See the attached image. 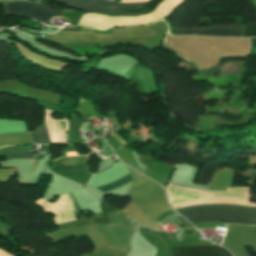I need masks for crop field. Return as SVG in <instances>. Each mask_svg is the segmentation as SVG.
Here are the masks:
<instances>
[{"label": "crop field", "instance_id": "obj_1", "mask_svg": "<svg viewBox=\"0 0 256 256\" xmlns=\"http://www.w3.org/2000/svg\"><path fill=\"white\" fill-rule=\"evenodd\" d=\"M190 222L225 221L255 225L256 207L233 204H200L176 209Z\"/></svg>", "mask_w": 256, "mask_h": 256}, {"label": "crop field", "instance_id": "obj_2", "mask_svg": "<svg viewBox=\"0 0 256 256\" xmlns=\"http://www.w3.org/2000/svg\"><path fill=\"white\" fill-rule=\"evenodd\" d=\"M58 2L66 3V6L84 10V11H95L108 15H122V14H143L150 10L146 9L140 12H120V10L135 11L145 8V3H117L108 0H53ZM152 0H122L121 2H150ZM108 5L118 7L117 9L99 6Z\"/></svg>", "mask_w": 256, "mask_h": 256}, {"label": "crop field", "instance_id": "obj_3", "mask_svg": "<svg viewBox=\"0 0 256 256\" xmlns=\"http://www.w3.org/2000/svg\"><path fill=\"white\" fill-rule=\"evenodd\" d=\"M5 9L6 13L27 16L46 24H50V17L61 14L56 10L28 2H8L5 5Z\"/></svg>", "mask_w": 256, "mask_h": 256}, {"label": "crop field", "instance_id": "obj_4", "mask_svg": "<svg viewBox=\"0 0 256 256\" xmlns=\"http://www.w3.org/2000/svg\"><path fill=\"white\" fill-rule=\"evenodd\" d=\"M241 25H216L204 29H178L177 35H198V36H240L242 35Z\"/></svg>", "mask_w": 256, "mask_h": 256}, {"label": "crop field", "instance_id": "obj_5", "mask_svg": "<svg viewBox=\"0 0 256 256\" xmlns=\"http://www.w3.org/2000/svg\"><path fill=\"white\" fill-rule=\"evenodd\" d=\"M174 256H231L224 248L217 245H202L172 249Z\"/></svg>", "mask_w": 256, "mask_h": 256}, {"label": "crop field", "instance_id": "obj_6", "mask_svg": "<svg viewBox=\"0 0 256 256\" xmlns=\"http://www.w3.org/2000/svg\"><path fill=\"white\" fill-rule=\"evenodd\" d=\"M34 143H51L47 135L45 124L37 127L35 131L31 132Z\"/></svg>", "mask_w": 256, "mask_h": 256}, {"label": "crop field", "instance_id": "obj_7", "mask_svg": "<svg viewBox=\"0 0 256 256\" xmlns=\"http://www.w3.org/2000/svg\"><path fill=\"white\" fill-rule=\"evenodd\" d=\"M132 181L131 180V176L130 174L110 183V184H107V185H103V186H100V187H97L99 190L103 191V192H106V191H110V190H114L116 188H119L125 184H127L128 182Z\"/></svg>", "mask_w": 256, "mask_h": 256}, {"label": "crop field", "instance_id": "obj_8", "mask_svg": "<svg viewBox=\"0 0 256 256\" xmlns=\"http://www.w3.org/2000/svg\"><path fill=\"white\" fill-rule=\"evenodd\" d=\"M0 156H5L6 159L32 158V152L2 153Z\"/></svg>", "mask_w": 256, "mask_h": 256}, {"label": "crop field", "instance_id": "obj_9", "mask_svg": "<svg viewBox=\"0 0 256 256\" xmlns=\"http://www.w3.org/2000/svg\"><path fill=\"white\" fill-rule=\"evenodd\" d=\"M242 36H244V37H256V24L244 25Z\"/></svg>", "mask_w": 256, "mask_h": 256}, {"label": "crop field", "instance_id": "obj_10", "mask_svg": "<svg viewBox=\"0 0 256 256\" xmlns=\"http://www.w3.org/2000/svg\"><path fill=\"white\" fill-rule=\"evenodd\" d=\"M251 45H256V39L251 38Z\"/></svg>", "mask_w": 256, "mask_h": 256}, {"label": "crop field", "instance_id": "obj_11", "mask_svg": "<svg viewBox=\"0 0 256 256\" xmlns=\"http://www.w3.org/2000/svg\"><path fill=\"white\" fill-rule=\"evenodd\" d=\"M1 167V166H0Z\"/></svg>", "mask_w": 256, "mask_h": 256}, {"label": "crop field", "instance_id": "obj_12", "mask_svg": "<svg viewBox=\"0 0 256 256\" xmlns=\"http://www.w3.org/2000/svg\"><path fill=\"white\" fill-rule=\"evenodd\" d=\"M73 205V204H72Z\"/></svg>", "mask_w": 256, "mask_h": 256}]
</instances>
